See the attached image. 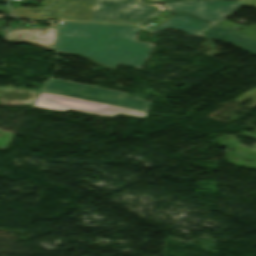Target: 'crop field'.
Masks as SVG:
<instances>
[{"label": "crop field", "instance_id": "8a807250", "mask_svg": "<svg viewBox=\"0 0 256 256\" xmlns=\"http://www.w3.org/2000/svg\"><path fill=\"white\" fill-rule=\"evenodd\" d=\"M58 27L56 53L85 57L109 68L118 63L140 68L153 47L134 40L140 30L134 26L64 22Z\"/></svg>", "mask_w": 256, "mask_h": 256}, {"label": "crop field", "instance_id": "ac0d7876", "mask_svg": "<svg viewBox=\"0 0 256 256\" xmlns=\"http://www.w3.org/2000/svg\"><path fill=\"white\" fill-rule=\"evenodd\" d=\"M163 11L161 4L143 0H97L88 21L140 25Z\"/></svg>", "mask_w": 256, "mask_h": 256}, {"label": "crop field", "instance_id": "d1516ede", "mask_svg": "<svg viewBox=\"0 0 256 256\" xmlns=\"http://www.w3.org/2000/svg\"><path fill=\"white\" fill-rule=\"evenodd\" d=\"M240 5H252L256 7V0H241Z\"/></svg>", "mask_w": 256, "mask_h": 256}, {"label": "crop field", "instance_id": "28ad6ade", "mask_svg": "<svg viewBox=\"0 0 256 256\" xmlns=\"http://www.w3.org/2000/svg\"><path fill=\"white\" fill-rule=\"evenodd\" d=\"M240 33L256 39V24L245 26Z\"/></svg>", "mask_w": 256, "mask_h": 256}, {"label": "crop field", "instance_id": "f4fd0767", "mask_svg": "<svg viewBox=\"0 0 256 256\" xmlns=\"http://www.w3.org/2000/svg\"><path fill=\"white\" fill-rule=\"evenodd\" d=\"M35 107L64 111L68 109L82 111L98 116L110 117L117 113L145 117L147 113L124 109L77 98L61 96L42 92L37 100Z\"/></svg>", "mask_w": 256, "mask_h": 256}, {"label": "crop field", "instance_id": "5a996713", "mask_svg": "<svg viewBox=\"0 0 256 256\" xmlns=\"http://www.w3.org/2000/svg\"><path fill=\"white\" fill-rule=\"evenodd\" d=\"M211 24L205 23L204 21L193 18L189 15H176L167 21L163 22L159 26L155 27L151 31H158L162 28H172L176 30H180L189 35H194L207 28Z\"/></svg>", "mask_w": 256, "mask_h": 256}, {"label": "crop field", "instance_id": "3316defc", "mask_svg": "<svg viewBox=\"0 0 256 256\" xmlns=\"http://www.w3.org/2000/svg\"><path fill=\"white\" fill-rule=\"evenodd\" d=\"M39 91L0 88V105L32 106Z\"/></svg>", "mask_w": 256, "mask_h": 256}, {"label": "crop field", "instance_id": "dd49c442", "mask_svg": "<svg viewBox=\"0 0 256 256\" xmlns=\"http://www.w3.org/2000/svg\"><path fill=\"white\" fill-rule=\"evenodd\" d=\"M239 1H196V2H168L164 5L175 13H188L210 23H215L237 8Z\"/></svg>", "mask_w": 256, "mask_h": 256}, {"label": "crop field", "instance_id": "e52e79f7", "mask_svg": "<svg viewBox=\"0 0 256 256\" xmlns=\"http://www.w3.org/2000/svg\"><path fill=\"white\" fill-rule=\"evenodd\" d=\"M56 28L9 29L4 38L12 43L33 44L54 51Z\"/></svg>", "mask_w": 256, "mask_h": 256}, {"label": "crop field", "instance_id": "22f410ed", "mask_svg": "<svg viewBox=\"0 0 256 256\" xmlns=\"http://www.w3.org/2000/svg\"><path fill=\"white\" fill-rule=\"evenodd\" d=\"M149 1H157V0H149Z\"/></svg>", "mask_w": 256, "mask_h": 256}, {"label": "crop field", "instance_id": "412701ff", "mask_svg": "<svg viewBox=\"0 0 256 256\" xmlns=\"http://www.w3.org/2000/svg\"><path fill=\"white\" fill-rule=\"evenodd\" d=\"M96 0H43V8H12L15 16L60 20L87 21ZM38 11L39 14L33 13Z\"/></svg>", "mask_w": 256, "mask_h": 256}, {"label": "crop field", "instance_id": "d8731c3e", "mask_svg": "<svg viewBox=\"0 0 256 256\" xmlns=\"http://www.w3.org/2000/svg\"><path fill=\"white\" fill-rule=\"evenodd\" d=\"M199 36L228 42L256 55V41L236 33L235 30L215 25L199 34Z\"/></svg>", "mask_w": 256, "mask_h": 256}, {"label": "crop field", "instance_id": "34b2d1b8", "mask_svg": "<svg viewBox=\"0 0 256 256\" xmlns=\"http://www.w3.org/2000/svg\"><path fill=\"white\" fill-rule=\"evenodd\" d=\"M45 91L61 93L96 101H102L127 107H132L141 110H148L149 102L134 99L127 96L125 93L84 86L66 81L50 79Z\"/></svg>", "mask_w": 256, "mask_h": 256}]
</instances>
